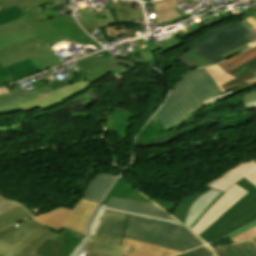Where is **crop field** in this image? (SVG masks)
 <instances>
[{"instance_id":"obj_1","label":"crop field","mask_w":256,"mask_h":256,"mask_svg":"<svg viewBox=\"0 0 256 256\" xmlns=\"http://www.w3.org/2000/svg\"><path fill=\"white\" fill-rule=\"evenodd\" d=\"M225 191L191 229L211 243L256 220V160L228 170L206 185Z\"/></svg>"},{"instance_id":"obj_2","label":"crop field","mask_w":256,"mask_h":256,"mask_svg":"<svg viewBox=\"0 0 256 256\" xmlns=\"http://www.w3.org/2000/svg\"><path fill=\"white\" fill-rule=\"evenodd\" d=\"M219 94L222 91L204 68L191 70L178 81L157 114L166 128L201 106V101Z\"/></svg>"},{"instance_id":"obj_3","label":"crop field","mask_w":256,"mask_h":256,"mask_svg":"<svg viewBox=\"0 0 256 256\" xmlns=\"http://www.w3.org/2000/svg\"><path fill=\"white\" fill-rule=\"evenodd\" d=\"M125 216H128L123 234L125 238L135 239L181 252L204 245L199 238L183 227L138 216Z\"/></svg>"},{"instance_id":"obj_4","label":"crop field","mask_w":256,"mask_h":256,"mask_svg":"<svg viewBox=\"0 0 256 256\" xmlns=\"http://www.w3.org/2000/svg\"><path fill=\"white\" fill-rule=\"evenodd\" d=\"M256 40L240 23H233L213 29L191 44L196 53L212 65L226 60L221 55Z\"/></svg>"},{"instance_id":"obj_5","label":"crop field","mask_w":256,"mask_h":256,"mask_svg":"<svg viewBox=\"0 0 256 256\" xmlns=\"http://www.w3.org/2000/svg\"><path fill=\"white\" fill-rule=\"evenodd\" d=\"M23 14L36 37L47 46L65 38L70 44L73 42L83 45L89 44L97 49H101V46L93 41L77 25L71 14L43 22L35 20L28 10L23 11ZM54 53L56 52L54 51Z\"/></svg>"},{"instance_id":"obj_6","label":"crop field","mask_w":256,"mask_h":256,"mask_svg":"<svg viewBox=\"0 0 256 256\" xmlns=\"http://www.w3.org/2000/svg\"><path fill=\"white\" fill-rule=\"evenodd\" d=\"M18 224L22 226L0 238V256H38L33 253L43 241L59 235L30 219Z\"/></svg>"},{"instance_id":"obj_7","label":"crop field","mask_w":256,"mask_h":256,"mask_svg":"<svg viewBox=\"0 0 256 256\" xmlns=\"http://www.w3.org/2000/svg\"><path fill=\"white\" fill-rule=\"evenodd\" d=\"M96 205V203L80 200L72 210L59 208L50 212H44L31 219L49 229L52 227L62 231L66 228L86 235L85 227Z\"/></svg>"},{"instance_id":"obj_8","label":"crop field","mask_w":256,"mask_h":256,"mask_svg":"<svg viewBox=\"0 0 256 256\" xmlns=\"http://www.w3.org/2000/svg\"><path fill=\"white\" fill-rule=\"evenodd\" d=\"M126 218L105 212L95 236L89 239L84 248L112 256H124L127 248L120 246V243Z\"/></svg>"},{"instance_id":"obj_9","label":"crop field","mask_w":256,"mask_h":256,"mask_svg":"<svg viewBox=\"0 0 256 256\" xmlns=\"http://www.w3.org/2000/svg\"><path fill=\"white\" fill-rule=\"evenodd\" d=\"M86 75L82 76L89 84L113 70L125 72L133 69L135 62L117 58L113 55L99 60L95 55L76 61Z\"/></svg>"},{"instance_id":"obj_10","label":"crop field","mask_w":256,"mask_h":256,"mask_svg":"<svg viewBox=\"0 0 256 256\" xmlns=\"http://www.w3.org/2000/svg\"><path fill=\"white\" fill-rule=\"evenodd\" d=\"M51 51L36 37L0 50V65L5 67Z\"/></svg>"},{"instance_id":"obj_11","label":"crop field","mask_w":256,"mask_h":256,"mask_svg":"<svg viewBox=\"0 0 256 256\" xmlns=\"http://www.w3.org/2000/svg\"><path fill=\"white\" fill-rule=\"evenodd\" d=\"M83 83V85H81ZM91 87L84 79L71 85H67L55 91H52L46 95H43L37 99L29 101L27 103L19 105L23 112H27L34 108L40 107L42 111L55 106L73 96L80 93L81 91Z\"/></svg>"},{"instance_id":"obj_12","label":"crop field","mask_w":256,"mask_h":256,"mask_svg":"<svg viewBox=\"0 0 256 256\" xmlns=\"http://www.w3.org/2000/svg\"><path fill=\"white\" fill-rule=\"evenodd\" d=\"M59 59L61 58L57 57L53 51H51L43 55L5 67V70L9 72L14 81H16L20 78L38 73L49 67L61 64Z\"/></svg>"},{"instance_id":"obj_13","label":"crop field","mask_w":256,"mask_h":256,"mask_svg":"<svg viewBox=\"0 0 256 256\" xmlns=\"http://www.w3.org/2000/svg\"><path fill=\"white\" fill-rule=\"evenodd\" d=\"M84 235L64 229L53 241L46 239L35 254L42 256H68Z\"/></svg>"},{"instance_id":"obj_14","label":"crop field","mask_w":256,"mask_h":256,"mask_svg":"<svg viewBox=\"0 0 256 256\" xmlns=\"http://www.w3.org/2000/svg\"><path fill=\"white\" fill-rule=\"evenodd\" d=\"M155 205L111 197L106 207L130 212V213L176 221L167 212L163 211L162 209H160Z\"/></svg>"},{"instance_id":"obj_15","label":"crop field","mask_w":256,"mask_h":256,"mask_svg":"<svg viewBox=\"0 0 256 256\" xmlns=\"http://www.w3.org/2000/svg\"><path fill=\"white\" fill-rule=\"evenodd\" d=\"M121 245L129 247L125 256H172L181 253L125 238L122 239Z\"/></svg>"},{"instance_id":"obj_16","label":"crop field","mask_w":256,"mask_h":256,"mask_svg":"<svg viewBox=\"0 0 256 256\" xmlns=\"http://www.w3.org/2000/svg\"><path fill=\"white\" fill-rule=\"evenodd\" d=\"M178 0H162L154 3H146L153 4L154 10L157 16L158 24L164 21L169 20V23H174L185 18L191 17L192 15H185L177 6ZM181 11V13H179Z\"/></svg>"},{"instance_id":"obj_17","label":"crop field","mask_w":256,"mask_h":256,"mask_svg":"<svg viewBox=\"0 0 256 256\" xmlns=\"http://www.w3.org/2000/svg\"><path fill=\"white\" fill-rule=\"evenodd\" d=\"M50 91H52V89L46 86V87L25 93L22 87H20L4 95H0V108L19 105L26 101L37 98L43 94H46Z\"/></svg>"},{"instance_id":"obj_18","label":"crop field","mask_w":256,"mask_h":256,"mask_svg":"<svg viewBox=\"0 0 256 256\" xmlns=\"http://www.w3.org/2000/svg\"><path fill=\"white\" fill-rule=\"evenodd\" d=\"M116 176L114 174L100 173L90 181L82 199L98 203Z\"/></svg>"},{"instance_id":"obj_19","label":"crop field","mask_w":256,"mask_h":256,"mask_svg":"<svg viewBox=\"0 0 256 256\" xmlns=\"http://www.w3.org/2000/svg\"><path fill=\"white\" fill-rule=\"evenodd\" d=\"M222 192L210 189L201 196H199L195 202H193L187 216L185 225L189 228L196 220L202 215L206 208L213 202V200ZM219 197V196H218ZM187 227V228H188Z\"/></svg>"},{"instance_id":"obj_20","label":"crop field","mask_w":256,"mask_h":256,"mask_svg":"<svg viewBox=\"0 0 256 256\" xmlns=\"http://www.w3.org/2000/svg\"><path fill=\"white\" fill-rule=\"evenodd\" d=\"M228 74L233 75L237 78L222 85L226 92L245 84V80L256 76V57L232 70Z\"/></svg>"},{"instance_id":"obj_21","label":"crop field","mask_w":256,"mask_h":256,"mask_svg":"<svg viewBox=\"0 0 256 256\" xmlns=\"http://www.w3.org/2000/svg\"><path fill=\"white\" fill-rule=\"evenodd\" d=\"M217 256H256V247L250 240L213 249Z\"/></svg>"},{"instance_id":"obj_22","label":"crop field","mask_w":256,"mask_h":256,"mask_svg":"<svg viewBox=\"0 0 256 256\" xmlns=\"http://www.w3.org/2000/svg\"><path fill=\"white\" fill-rule=\"evenodd\" d=\"M79 8V7H78ZM80 10V9H79ZM83 17L77 18V21L81 24V26L87 31L93 30L90 26L98 24L100 28L113 25V24H121L114 23L110 12H105L107 18L97 19L95 13L88 14L85 9L80 10Z\"/></svg>"},{"instance_id":"obj_23","label":"crop field","mask_w":256,"mask_h":256,"mask_svg":"<svg viewBox=\"0 0 256 256\" xmlns=\"http://www.w3.org/2000/svg\"><path fill=\"white\" fill-rule=\"evenodd\" d=\"M118 19L122 23L133 24V20H144L141 9H131L121 6V3L113 4Z\"/></svg>"},{"instance_id":"obj_24","label":"crop field","mask_w":256,"mask_h":256,"mask_svg":"<svg viewBox=\"0 0 256 256\" xmlns=\"http://www.w3.org/2000/svg\"><path fill=\"white\" fill-rule=\"evenodd\" d=\"M31 37H34V34L30 27L1 36L0 49Z\"/></svg>"},{"instance_id":"obj_25","label":"crop field","mask_w":256,"mask_h":256,"mask_svg":"<svg viewBox=\"0 0 256 256\" xmlns=\"http://www.w3.org/2000/svg\"><path fill=\"white\" fill-rule=\"evenodd\" d=\"M255 56H256V47L249 49V50H247V51H245L227 61L219 63L217 65L221 66L227 73Z\"/></svg>"},{"instance_id":"obj_26","label":"crop field","mask_w":256,"mask_h":256,"mask_svg":"<svg viewBox=\"0 0 256 256\" xmlns=\"http://www.w3.org/2000/svg\"><path fill=\"white\" fill-rule=\"evenodd\" d=\"M27 217H30L26 211L20 206L16 209L11 210L8 213H5L0 216V229L6 226H9L15 222L23 220Z\"/></svg>"},{"instance_id":"obj_27","label":"crop field","mask_w":256,"mask_h":256,"mask_svg":"<svg viewBox=\"0 0 256 256\" xmlns=\"http://www.w3.org/2000/svg\"><path fill=\"white\" fill-rule=\"evenodd\" d=\"M50 3L49 0H0V9L19 5L21 10Z\"/></svg>"},{"instance_id":"obj_28","label":"crop field","mask_w":256,"mask_h":256,"mask_svg":"<svg viewBox=\"0 0 256 256\" xmlns=\"http://www.w3.org/2000/svg\"><path fill=\"white\" fill-rule=\"evenodd\" d=\"M199 195H201V193L196 192V193L188 196L187 198H185L183 201L179 202L178 206L176 207V209L174 210L172 215L175 216L182 223H185L187 211H188L190 205L192 204V202L195 201V199Z\"/></svg>"},{"instance_id":"obj_29","label":"crop field","mask_w":256,"mask_h":256,"mask_svg":"<svg viewBox=\"0 0 256 256\" xmlns=\"http://www.w3.org/2000/svg\"><path fill=\"white\" fill-rule=\"evenodd\" d=\"M205 69L210 74L211 78L217 83L223 93H225V90L222 88L221 85L235 78L226 74L223 69L217 65L205 67Z\"/></svg>"},{"instance_id":"obj_30","label":"crop field","mask_w":256,"mask_h":256,"mask_svg":"<svg viewBox=\"0 0 256 256\" xmlns=\"http://www.w3.org/2000/svg\"><path fill=\"white\" fill-rule=\"evenodd\" d=\"M133 192V189L128 187L122 180L121 178L118 179L114 187L111 189V191L108 193L107 197L103 201V203L108 202L111 196L114 197H120V198H125L128 199L130 194Z\"/></svg>"},{"instance_id":"obj_31","label":"crop field","mask_w":256,"mask_h":256,"mask_svg":"<svg viewBox=\"0 0 256 256\" xmlns=\"http://www.w3.org/2000/svg\"><path fill=\"white\" fill-rule=\"evenodd\" d=\"M256 86V81H253V82H250V83H247L241 87H238L236 89H233L225 94H222V95H219V96H216V97H213V98H210L208 100H205L203 101V107L209 105V104H212L214 102H217V101H220L222 99H225V98H228V97H231L233 95H236V94H239V93H242L252 87Z\"/></svg>"},{"instance_id":"obj_32","label":"crop field","mask_w":256,"mask_h":256,"mask_svg":"<svg viewBox=\"0 0 256 256\" xmlns=\"http://www.w3.org/2000/svg\"><path fill=\"white\" fill-rule=\"evenodd\" d=\"M20 17H23V14L18 6L0 10V25Z\"/></svg>"},{"instance_id":"obj_33","label":"crop field","mask_w":256,"mask_h":256,"mask_svg":"<svg viewBox=\"0 0 256 256\" xmlns=\"http://www.w3.org/2000/svg\"><path fill=\"white\" fill-rule=\"evenodd\" d=\"M25 27H28V24L25 18L23 17L21 19L0 26V36Z\"/></svg>"},{"instance_id":"obj_34","label":"crop field","mask_w":256,"mask_h":256,"mask_svg":"<svg viewBox=\"0 0 256 256\" xmlns=\"http://www.w3.org/2000/svg\"><path fill=\"white\" fill-rule=\"evenodd\" d=\"M177 256H215L208 246L196 248Z\"/></svg>"},{"instance_id":"obj_35","label":"crop field","mask_w":256,"mask_h":256,"mask_svg":"<svg viewBox=\"0 0 256 256\" xmlns=\"http://www.w3.org/2000/svg\"><path fill=\"white\" fill-rule=\"evenodd\" d=\"M105 206V204H102L100 209L98 210V212L96 213L95 217L93 218L91 225H90V229H89V235L90 237H92L100 223V219L104 213V209L103 207Z\"/></svg>"},{"instance_id":"obj_36","label":"crop field","mask_w":256,"mask_h":256,"mask_svg":"<svg viewBox=\"0 0 256 256\" xmlns=\"http://www.w3.org/2000/svg\"><path fill=\"white\" fill-rule=\"evenodd\" d=\"M18 206H20V204L17 202H13L10 200H4V201L0 202V214L7 212L13 208L18 207ZM22 207L29 213L30 216H32V213L30 211H28L24 206H22Z\"/></svg>"},{"instance_id":"obj_37","label":"crop field","mask_w":256,"mask_h":256,"mask_svg":"<svg viewBox=\"0 0 256 256\" xmlns=\"http://www.w3.org/2000/svg\"><path fill=\"white\" fill-rule=\"evenodd\" d=\"M194 51H195V49H191L190 51H188L185 54V56L190 58L192 61H194L200 67L211 65L207 61H205L203 58H201L199 55H197Z\"/></svg>"},{"instance_id":"obj_38","label":"crop field","mask_w":256,"mask_h":256,"mask_svg":"<svg viewBox=\"0 0 256 256\" xmlns=\"http://www.w3.org/2000/svg\"><path fill=\"white\" fill-rule=\"evenodd\" d=\"M253 236H256V226L247 230L246 232L234 237L232 240L233 243L246 240L248 238H251Z\"/></svg>"},{"instance_id":"obj_39","label":"crop field","mask_w":256,"mask_h":256,"mask_svg":"<svg viewBox=\"0 0 256 256\" xmlns=\"http://www.w3.org/2000/svg\"><path fill=\"white\" fill-rule=\"evenodd\" d=\"M151 200L167 211L174 210L177 205V203H173V202H167V201L156 200V199H151Z\"/></svg>"},{"instance_id":"obj_40","label":"crop field","mask_w":256,"mask_h":256,"mask_svg":"<svg viewBox=\"0 0 256 256\" xmlns=\"http://www.w3.org/2000/svg\"><path fill=\"white\" fill-rule=\"evenodd\" d=\"M185 56V55H184ZM182 56L181 58H179L177 61H179L180 63H182L185 67H187L189 70L194 69L196 67H199L198 65H196L194 62H192L190 59L186 58Z\"/></svg>"},{"instance_id":"obj_41","label":"crop field","mask_w":256,"mask_h":256,"mask_svg":"<svg viewBox=\"0 0 256 256\" xmlns=\"http://www.w3.org/2000/svg\"><path fill=\"white\" fill-rule=\"evenodd\" d=\"M45 79H47V78H45ZM45 79H43V81L50 87V88H52L53 90H55V89H57V88H60V87H62V86H65V85H67V84H70L69 82H68V80L67 81H63V80H61V81H56V80H54V81H52V83L53 84H49V82H47Z\"/></svg>"},{"instance_id":"obj_42","label":"crop field","mask_w":256,"mask_h":256,"mask_svg":"<svg viewBox=\"0 0 256 256\" xmlns=\"http://www.w3.org/2000/svg\"><path fill=\"white\" fill-rule=\"evenodd\" d=\"M149 50H147L144 53H141L142 58L144 61L150 60L153 58L151 51L158 50L159 48L156 45H151L148 47Z\"/></svg>"},{"instance_id":"obj_43","label":"crop field","mask_w":256,"mask_h":256,"mask_svg":"<svg viewBox=\"0 0 256 256\" xmlns=\"http://www.w3.org/2000/svg\"><path fill=\"white\" fill-rule=\"evenodd\" d=\"M129 199L152 203L146 197H144L142 194L138 193L135 190L132 193V195L129 197Z\"/></svg>"},{"instance_id":"obj_44","label":"crop field","mask_w":256,"mask_h":256,"mask_svg":"<svg viewBox=\"0 0 256 256\" xmlns=\"http://www.w3.org/2000/svg\"><path fill=\"white\" fill-rule=\"evenodd\" d=\"M201 109H202V107H200V108L194 110L189 116L185 117L181 122H179V123H177V124H175V125H173V126L167 128V129H166L167 132H168L169 130L173 129L174 127H176V126H177V128L180 127V126H181L182 124H184L192 115L196 114V113H197L199 110H201ZM178 129H179V128H178Z\"/></svg>"},{"instance_id":"obj_45","label":"crop field","mask_w":256,"mask_h":256,"mask_svg":"<svg viewBox=\"0 0 256 256\" xmlns=\"http://www.w3.org/2000/svg\"><path fill=\"white\" fill-rule=\"evenodd\" d=\"M248 48H250V47H248L247 45H245V46H243V47H240V48H238V49H236V50H233V51H231V52H229V53L223 55V57H225L226 59H228V58L234 56L235 54H237V53H239V52H241V51H244V50H246V49H248Z\"/></svg>"},{"instance_id":"obj_46","label":"crop field","mask_w":256,"mask_h":256,"mask_svg":"<svg viewBox=\"0 0 256 256\" xmlns=\"http://www.w3.org/2000/svg\"><path fill=\"white\" fill-rule=\"evenodd\" d=\"M255 225H256V222H254V223H252V224H250V225H248V226H246V227H244V228H242V229H240V230H238V231H236V232H234V233H232V234H230L228 236L231 239L232 237H234V236H236V235L246 231L247 229H249V228H251V227H253Z\"/></svg>"},{"instance_id":"obj_47","label":"crop field","mask_w":256,"mask_h":256,"mask_svg":"<svg viewBox=\"0 0 256 256\" xmlns=\"http://www.w3.org/2000/svg\"><path fill=\"white\" fill-rule=\"evenodd\" d=\"M85 240H86V236L82 239V241L78 244V246L73 250V252L69 256H76V254L84 244Z\"/></svg>"},{"instance_id":"obj_48","label":"crop field","mask_w":256,"mask_h":256,"mask_svg":"<svg viewBox=\"0 0 256 256\" xmlns=\"http://www.w3.org/2000/svg\"><path fill=\"white\" fill-rule=\"evenodd\" d=\"M19 110L20 109L18 108V106H15V107H11V108L1 109L0 114L15 112V111H19Z\"/></svg>"},{"instance_id":"obj_49","label":"crop field","mask_w":256,"mask_h":256,"mask_svg":"<svg viewBox=\"0 0 256 256\" xmlns=\"http://www.w3.org/2000/svg\"><path fill=\"white\" fill-rule=\"evenodd\" d=\"M15 225H17V224H15ZM15 225L9 226V227H7V228L1 230V231H0V237H2V236H3L4 234H6V233L12 231L13 229L19 227V226L16 227Z\"/></svg>"},{"instance_id":"obj_50","label":"crop field","mask_w":256,"mask_h":256,"mask_svg":"<svg viewBox=\"0 0 256 256\" xmlns=\"http://www.w3.org/2000/svg\"><path fill=\"white\" fill-rule=\"evenodd\" d=\"M13 79L11 78V76H4V77H0V85L8 83V82H12Z\"/></svg>"},{"instance_id":"obj_51","label":"crop field","mask_w":256,"mask_h":256,"mask_svg":"<svg viewBox=\"0 0 256 256\" xmlns=\"http://www.w3.org/2000/svg\"><path fill=\"white\" fill-rule=\"evenodd\" d=\"M105 209H108V210H113V211H118V210H114V209H110V208H106ZM118 212H121V211H118ZM122 213H125V212H122ZM126 214H130V213H126ZM132 215H135V214H132ZM141 216V215H139ZM143 217H146V216H143ZM147 218H151V217H147ZM152 219H156V218H152ZM158 220H161V219H158ZM163 221H166V222H171V223H174V224H178V225H181L180 223H177V222H172V221H167V220H163ZM182 226V225H181ZM184 227V226H183ZM186 228V227H185Z\"/></svg>"},{"instance_id":"obj_52","label":"crop field","mask_w":256,"mask_h":256,"mask_svg":"<svg viewBox=\"0 0 256 256\" xmlns=\"http://www.w3.org/2000/svg\"><path fill=\"white\" fill-rule=\"evenodd\" d=\"M243 26H245L248 30L252 29L254 26H252L249 22H247L245 19L240 22ZM255 28V27H254Z\"/></svg>"},{"instance_id":"obj_53","label":"crop field","mask_w":256,"mask_h":256,"mask_svg":"<svg viewBox=\"0 0 256 256\" xmlns=\"http://www.w3.org/2000/svg\"><path fill=\"white\" fill-rule=\"evenodd\" d=\"M250 15H252L256 19V11L255 12L251 11V12L247 13L246 15L240 17L239 20H242Z\"/></svg>"},{"instance_id":"obj_54","label":"crop field","mask_w":256,"mask_h":256,"mask_svg":"<svg viewBox=\"0 0 256 256\" xmlns=\"http://www.w3.org/2000/svg\"><path fill=\"white\" fill-rule=\"evenodd\" d=\"M246 20L256 27V20L252 16L246 18Z\"/></svg>"},{"instance_id":"obj_55","label":"crop field","mask_w":256,"mask_h":256,"mask_svg":"<svg viewBox=\"0 0 256 256\" xmlns=\"http://www.w3.org/2000/svg\"><path fill=\"white\" fill-rule=\"evenodd\" d=\"M86 253L94 256H108V255H104V254H100V253H96L88 250L86 251Z\"/></svg>"},{"instance_id":"obj_56","label":"crop field","mask_w":256,"mask_h":256,"mask_svg":"<svg viewBox=\"0 0 256 256\" xmlns=\"http://www.w3.org/2000/svg\"><path fill=\"white\" fill-rule=\"evenodd\" d=\"M3 75H10V74L7 73V72L4 70V68H2V67L0 66V76H3Z\"/></svg>"},{"instance_id":"obj_57","label":"crop field","mask_w":256,"mask_h":256,"mask_svg":"<svg viewBox=\"0 0 256 256\" xmlns=\"http://www.w3.org/2000/svg\"><path fill=\"white\" fill-rule=\"evenodd\" d=\"M71 83H74L76 81H78L77 77L73 76L71 78L68 79Z\"/></svg>"},{"instance_id":"obj_58","label":"crop field","mask_w":256,"mask_h":256,"mask_svg":"<svg viewBox=\"0 0 256 256\" xmlns=\"http://www.w3.org/2000/svg\"><path fill=\"white\" fill-rule=\"evenodd\" d=\"M0 91H1V93H2V94H4V93L8 92V90H7V88H6V87L1 88V89H0Z\"/></svg>"},{"instance_id":"obj_59","label":"crop field","mask_w":256,"mask_h":256,"mask_svg":"<svg viewBox=\"0 0 256 256\" xmlns=\"http://www.w3.org/2000/svg\"><path fill=\"white\" fill-rule=\"evenodd\" d=\"M191 4L194 5L195 7L198 5L196 1H191Z\"/></svg>"},{"instance_id":"obj_60","label":"crop field","mask_w":256,"mask_h":256,"mask_svg":"<svg viewBox=\"0 0 256 256\" xmlns=\"http://www.w3.org/2000/svg\"><path fill=\"white\" fill-rule=\"evenodd\" d=\"M73 74L76 75L79 80L82 79L77 72H73Z\"/></svg>"},{"instance_id":"obj_61","label":"crop field","mask_w":256,"mask_h":256,"mask_svg":"<svg viewBox=\"0 0 256 256\" xmlns=\"http://www.w3.org/2000/svg\"><path fill=\"white\" fill-rule=\"evenodd\" d=\"M253 243H254V245L256 246V241H255V239L254 238H252V239H250Z\"/></svg>"},{"instance_id":"obj_62","label":"crop field","mask_w":256,"mask_h":256,"mask_svg":"<svg viewBox=\"0 0 256 256\" xmlns=\"http://www.w3.org/2000/svg\"><path fill=\"white\" fill-rule=\"evenodd\" d=\"M253 80H256V77H254V78H252V79H249V80H247L246 82L253 81Z\"/></svg>"},{"instance_id":"obj_63","label":"crop field","mask_w":256,"mask_h":256,"mask_svg":"<svg viewBox=\"0 0 256 256\" xmlns=\"http://www.w3.org/2000/svg\"><path fill=\"white\" fill-rule=\"evenodd\" d=\"M4 199H5V198H3V197L0 196V201H2V200H4Z\"/></svg>"},{"instance_id":"obj_64","label":"crop field","mask_w":256,"mask_h":256,"mask_svg":"<svg viewBox=\"0 0 256 256\" xmlns=\"http://www.w3.org/2000/svg\"><path fill=\"white\" fill-rule=\"evenodd\" d=\"M255 239H256V237H255Z\"/></svg>"},{"instance_id":"obj_65","label":"crop field","mask_w":256,"mask_h":256,"mask_svg":"<svg viewBox=\"0 0 256 256\" xmlns=\"http://www.w3.org/2000/svg\"><path fill=\"white\" fill-rule=\"evenodd\" d=\"M1 94V93H0Z\"/></svg>"}]
</instances>
